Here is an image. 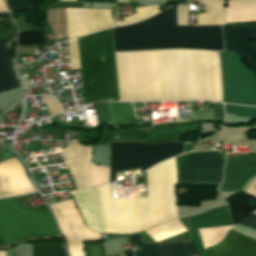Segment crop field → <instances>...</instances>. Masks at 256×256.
I'll use <instances>...</instances> for the list:
<instances>
[{
    "instance_id": "crop-field-15",
    "label": "crop field",
    "mask_w": 256,
    "mask_h": 256,
    "mask_svg": "<svg viewBox=\"0 0 256 256\" xmlns=\"http://www.w3.org/2000/svg\"><path fill=\"white\" fill-rule=\"evenodd\" d=\"M91 188L109 183L110 168L93 165L90 162L91 147L73 143Z\"/></svg>"
},
{
    "instance_id": "crop-field-3",
    "label": "crop field",
    "mask_w": 256,
    "mask_h": 256,
    "mask_svg": "<svg viewBox=\"0 0 256 256\" xmlns=\"http://www.w3.org/2000/svg\"><path fill=\"white\" fill-rule=\"evenodd\" d=\"M115 51L192 48L223 50L221 26H176L175 7L138 24L113 28Z\"/></svg>"
},
{
    "instance_id": "crop-field-19",
    "label": "crop field",
    "mask_w": 256,
    "mask_h": 256,
    "mask_svg": "<svg viewBox=\"0 0 256 256\" xmlns=\"http://www.w3.org/2000/svg\"><path fill=\"white\" fill-rule=\"evenodd\" d=\"M67 146L68 148L62 150L77 190L90 188L72 144Z\"/></svg>"
},
{
    "instance_id": "crop-field-35",
    "label": "crop field",
    "mask_w": 256,
    "mask_h": 256,
    "mask_svg": "<svg viewBox=\"0 0 256 256\" xmlns=\"http://www.w3.org/2000/svg\"><path fill=\"white\" fill-rule=\"evenodd\" d=\"M187 13H188L187 7H182V6L176 7L177 25H188Z\"/></svg>"
},
{
    "instance_id": "crop-field-10",
    "label": "crop field",
    "mask_w": 256,
    "mask_h": 256,
    "mask_svg": "<svg viewBox=\"0 0 256 256\" xmlns=\"http://www.w3.org/2000/svg\"><path fill=\"white\" fill-rule=\"evenodd\" d=\"M36 192L16 157L0 163V198Z\"/></svg>"
},
{
    "instance_id": "crop-field-44",
    "label": "crop field",
    "mask_w": 256,
    "mask_h": 256,
    "mask_svg": "<svg viewBox=\"0 0 256 256\" xmlns=\"http://www.w3.org/2000/svg\"><path fill=\"white\" fill-rule=\"evenodd\" d=\"M124 253H125L126 256H133L130 250L124 251Z\"/></svg>"
},
{
    "instance_id": "crop-field-1",
    "label": "crop field",
    "mask_w": 256,
    "mask_h": 256,
    "mask_svg": "<svg viewBox=\"0 0 256 256\" xmlns=\"http://www.w3.org/2000/svg\"><path fill=\"white\" fill-rule=\"evenodd\" d=\"M120 101H216L212 51L115 53Z\"/></svg>"
},
{
    "instance_id": "crop-field-21",
    "label": "crop field",
    "mask_w": 256,
    "mask_h": 256,
    "mask_svg": "<svg viewBox=\"0 0 256 256\" xmlns=\"http://www.w3.org/2000/svg\"><path fill=\"white\" fill-rule=\"evenodd\" d=\"M8 51L6 42H0V93L7 89L17 87L8 62ZM19 86V85H18Z\"/></svg>"
},
{
    "instance_id": "crop-field-36",
    "label": "crop field",
    "mask_w": 256,
    "mask_h": 256,
    "mask_svg": "<svg viewBox=\"0 0 256 256\" xmlns=\"http://www.w3.org/2000/svg\"><path fill=\"white\" fill-rule=\"evenodd\" d=\"M42 99H43L50 115L60 111L58 103L53 98L42 97Z\"/></svg>"
},
{
    "instance_id": "crop-field-8",
    "label": "crop field",
    "mask_w": 256,
    "mask_h": 256,
    "mask_svg": "<svg viewBox=\"0 0 256 256\" xmlns=\"http://www.w3.org/2000/svg\"><path fill=\"white\" fill-rule=\"evenodd\" d=\"M49 206L66 240L70 256H85L82 242L100 240L99 234L83 225L72 199Z\"/></svg>"
},
{
    "instance_id": "crop-field-43",
    "label": "crop field",
    "mask_w": 256,
    "mask_h": 256,
    "mask_svg": "<svg viewBox=\"0 0 256 256\" xmlns=\"http://www.w3.org/2000/svg\"><path fill=\"white\" fill-rule=\"evenodd\" d=\"M2 18H10L8 13H0V19Z\"/></svg>"
},
{
    "instance_id": "crop-field-17",
    "label": "crop field",
    "mask_w": 256,
    "mask_h": 256,
    "mask_svg": "<svg viewBox=\"0 0 256 256\" xmlns=\"http://www.w3.org/2000/svg\"><path fill=\"white\" fill-rule=\"evenodd\" d=\"M204 3L206 14L196 15L198 25L225 24L226 8L224 0H198Z\"/></svg>"
},
{
    "instance_id": "crop-field-9",
    "label": "crop field",
    "mask_w": 256,
    "mask_h": 256,
    "mask_svg": "<svg viewBox=\"0 0 256 256\" xmlns=\"http://www.w3.org/2000/svg\"><path fill=\"white\" fill-rule=\"evenodd\" d=\"M223 158L216 151L192 153L180 183H220Z\"/></svg>"
},
{
    "instance_id": "crop-field-45",
    "label": "crop field",
    "mask_w": 256,
    "mask_h": 256,
    "mask_svg": "<svg viewBox=\"0 0 256 256\" xmlns=\"http://www.w3.org/2000/svg\"><path fill=\"white\" fill-rule=\"evenodd\" d=\"M0 256H5L4 251H0Z\"/></svg>"
},
{
    "instance_id": "crop-field-22",
    "label": "crop field",
    "mask_w": 256,
    "mask_h": 256,
    "mask_svg": "<svg viewBox=\"0 0 256 256\" xmlns=\"http://www.w3.org/2000/svg\"><path fill=\"white\" fill-rule=\"evenodd\" d=\"M68 39L85 35L84 9H66Z\"/></svg>"
},
{
    "instance_id": "crop-field-20",
    "label": "crop field",
    "mask_w": 256,
    "mask_h": 256,
    "mask_svg": "<svg viewBox=\"0 0 256 256\" xmlns=\"http://www.w3.org/2000/svg\"><path fill=\"white\" fill-rule=\"evenodd\" d=\"M87 34L113 24L110 10L85 9Z\"/></svg>"
},
{
    "instance_id": "crop-field-18",
    "label": "crop field",
    "mask_w": 256,
    "mask_h": 256,
    "mask_svg": "<svg viewBox=\"0 0 256 256\" xmlns=\"http://www.w3.org/2000/svg\"><path fill=\"white\" fill-rule=\"evenodd\" d=\"M190 229L230 225L225 207L209 211L199 216L189 217Z\"/></svg>"
},
{
    "instance_id": "crop-field-42",
    "label": "crop field",
    "mask_w": 256,
    "mask_h": 256,
    "mask_svg": "<svg viewBox=\"0 0 256 256\" xmlns=\"http://www.w3.org/2000/svg\"><path fill=\"white\" fill-rule=\"evenodd\" d=\"M175 245H176V247H177L179 256H186V255H185L184 248H183V244H182V243H179V244H175Z\"/></svg>"
},
{
    "instance_id": "crop-field-14",
    "label": "crop field",
    "mask_w": 256,
    "mask_h": 256,
    "mask_svg": "<svg viewBox=\"0 0 256 256\" xmlns=\"http://www.w3.org/2000/svg\"><path fill=\"white\" fill-rule=\"evenodd\" d=\"M201 256H256V241L230 230L221 243Z\"/></svg>"
},
{
    "instance_id": "crop-field-30",
    "label": "crop field",
    "mask_w": 256,
    "mask_h": 256,
    "mask_svg": "<svg viewBox=\"0 0 256 256\" xmlns=\"http://www.w3.org/2000/svg\"><path fill=\"white\" fill-rule=\"evenodd\" d=\"M32 0H7L10 10L22 11L30 8ZM76 1H100V2H115V0H76Z\"/></svg>"
},
{
    "instance_id": "crop-field-29",
    "label": "crop field",
    "mask_w": 256,
    "mask_h": 256,
    "mask_svg": "<svg viewBox=\"0 0 256 256\" xmlns=\"http://www.w3.org/2000/svg\"><path fill=\"white\" fill-rule=\"evenodd\" d=\"M225 110L226 113L235 114L237 116L256 118V108L253 107L225 105Z\"/></svg>"
},
{
    "instance_id": "crop-field-31",
    "label": "crop field",
    "mask_w": 256,
    "mask_h": 256,
    "mask_svg": "<svg viewBox=\"0 0 256 256\" xmlns=\"http://www.w3.org/2000/svg\"><path fill=\"white\" fill-rule=\"evenodd\" d=\"M72 70L80 68L77 39L68 41Z\"/></svg>"
},
{
    "instance_id": "crop-field-11",
    "label": "crop field",
    "mask_w": 256,
    "mask_h": 256,
    "mask_svg": "<svg viewBox=\"0 0 256 256\" xmlns=\"http://www.w3.org/2000/svg\"><path fill=\"white\" fill-rule=\"evenodd\" d=\"M225 50H233L256 70V45L248 38H256V25L223 26Z\"/></svg>"
},
{
    "instance_id": "crop-field-2",
    "label": "crop field",
    "mask_w": 256,
    "mask_h": 256,
    "mask_svg": "<svg viewBox=\"0 0 256 256\" xmlns=\"http://www.w3.org/2000/svg\"><path fill=\"white\" fill-rule=\"evenodd\" d=\"M176 180L173 158L147 171L148 198L112 199L109 184L100 187L107 232L135 233L176 218Z\"/></svg>"
},
{
    "instance_id": "crop-field-13",
    "label": "crop field",
    "mask_w": 256,
    "mask_h": 256,
    "mask_svg": "<svg viewBox=\"0 0 256 256\" xmlns=\"http://www.w3.org/2000/svg\"><path fill=\"white\" fill-rule=\"evenodd\" d=\"M71 193L85 224L93 230L106 233L98 188Z\"/></svg>"
},
{
    "instance_id": "crop-field-39",
    "label": "crop field",
    "mask_w": 256,
    "mask_h": 256,
    "mask_svg": "<svg viewBox=\"0 0 256 256\" xmlns=\"http://www.w3.org/2000/svg\"><path fill=\"white\" fill-rule=\"evenodd\" d=\"M212 105H213L214 119L223 118L222 111H221V104H212Z\"/></svg>"
},
{
    "instance_id": "crop-field-6",
    "label": "crop field",
    "mask_w": 256,
    "mask_h": 256,
    "mask_svg": "<svg viewBox=\"0 0 256 256\" xmlns=\"http://www.w3.org/2000/svg\"><path fill=\"white\" fill-rule=\"evenodd\" d=\"M183 143H112L110 182L114 172L141 167V170L181 154Z\"/></svg>"
},
{
    "instance_id": "crop-field-26",
    "label": "crop field",
    "mask_w": 256,
    "mask_h": 256,
    "mask_svg": "<svg viewBox=\"0 0 256 256\" xmlns=\"http://www.w3.org/2000/svg\"><path fill=\"white\" fill-rule=\"evenodd\" d=\"M33 256H66L62 244L39 243L32 245Z\"/></svg>"
},
{
    "instance_id": "crop-field-16",
    "label": "crop field",
    "mask_w": 256,
    "mask_h": 256,
    "mask_svg": "<svg viewBox=\"0 0 256 256\" xmlns=\"http://www.w3.org/2000/svg\"><path fill=\"white\" fill-rule=\"evenodd\" d=\"M256 21V0H228L226 22Z\"/></svg>"
},
{
    "instance_id": "crop-field-23",
    "label": "crop field",
    "mask_w": 256,
    "mask_h": 256,
    "mask_svg": "<svg viewBox=\"0 0 256 256\" xmlns=\"http://www.w3.org/2000/svg\"><path fill=\"white\" fill-rule=\"evenodd\" d=\"M156 242L185 231L177 219L145 230Z\"/></svg>"
},
{
    "instance_id": "crop-field-38",
    "label": "crop field",
    "mask_w": 256,
    "mask_h": 256,
    "mask_svg": "<svg viewBox=\"0 0 256 256\" xmlns=\"http://www.w3.org/2000/svg\"><path fill=\"white\" fill-rule=\"evenodd\" d=\"M240 224H244L256 229V215H253V214L249 215L248 217L243 219L240 222Z\"/></svg>"
},
{
    "instance_id": "crop-field-40",
    "label": "crop field",
    "mask_w": 256,
    "mask_h": 256,
    "mask_svg": "<svg viewBox=\"0 0 256 256\" xmlns=\"http://www.w3.org/2000/svg\"><path fill=\"white\" fill-rule=\"evenodd\" d=\"M246 192L256 195V177L254 178L252 183L249 185Z\"/></svg>"
},
{
    "instance_id": "crop-field-28",
    "label": "crop field",
    "mask_w": 256,
    "mask_h": 256,
    "mask_svg": "<svg viewBox=\"0 0 256 256\" xmlns=\"http://www.w3.org/2000/svg\"><path fill=\"white\" fill-rule=\"evenodd\" d=\"M159 8L160 6L136 8L137 14L129 17H124V22H116L115 26L126 25L148 18L160 12Z\"/></svg>"
},
{
    "instance_id": "crop-field-27",
    "label": "crop field",
    "mask_w": 256,
    "mask_h": 256,
    "mask_svg": "<svg viewBox=\"0 0 256 256\" xmlns=\"http://www.w3.org/2000/svg\"><path fill=\"white\" fill-rule=\"evenodd\" d=\"M178 242H183L187 256H194L197 254L192 240ZM178 242L157 243L160 256H178L174 246V243Z\"/></svg>"
},
{
    "instance_id": "crop-field-7",
    "label": "crop field",
    "mask_w": 256,
    "mask_h": 256,
    "mask_svg": "<svg viewBox=\"0 0 256 256\" xmlns=\"http://www.w3.org/2000/svg\"><path fill=\"white\" fill-rule=\"evenodd\" d=\"M224 102L256 106V76L233 52H220Z\"/></svg>"
},
{
    "instance_id": "crop-field-12",
    "label": "crop field",
    "mask_w": 256,
    "mask_h": 256,
    "mask_svg": "<svg viewBox=\"0 0 256 256\" xmlns=\"http://www.w3.org/2000/svg\"><path fill=\"white\" fill-rule=\"evenodd\" d=\"M256 174V155L228 157L224 168V182L220 191L241 190L247 180Z\"/></svg>"
},
{
    "instance_id": "crop-field-24",
    "label": "crop field",
    "mask_w": 256,
    "mask_h": 256,
    "mask_svg": "<svg viewBox=\"0 0 256 256\" xmlns=\"http://www.w3.org/2000/svg\"><path fill=\"white\" fill-rule=\"evenodd\" d=\"M115 125L131 124L130 118H135L130 103H108Z\"/></svg>"
},
{
    "instance_id": "crop-field-33",
    "label": "crop field",
    "mask_w": 256,
    "mask_h": 256,
    "mask_svg": "<svg viewBox=\"0 0 256 256\" xmlns=\"http://www.w3.org/2000/svg\"><path fill=\"white\" fill-rule=\"evenodd\" d=\"M96 108L100 118V122L112 121L107 103L98 104L96 105Z\"/></svg>"
},
{
    "instance_id": "crop-field-37",
    "label": "crop field",
    "mask_w": 256,
    "mask_h": 256,
    "mask_svg": "<svg viewBox=\"0 0 256 256\" xmlns=\"http://www.w3.org/2000/svg\"><path fill=\"white\" fill-rule=\"evenodd\" d=\"M87 256H103L100 243L85 245Z\"/></svg>"
},
{
    "instance_id": "crop-field-41",
    "label": "crop field",
    "mask_w": 256,
    "mask_h": 256,
    "mask_svg": "<svg viewBox=\"0 0 256 256\" xmlns=\"http://www.w3.org/2000/svg\"><path fill=\"white\" fill-rule=\"evenodd\" d=\"M129 236H130L132 244L142 243L139 234H131Z\"/></svg>"
},
{
    "instance_id": "crop-field-32",
    "label": "crop field",
    "mask_w": 256,
    "mask_h": 256,
    "mask_svg": "<svg viewBox=\"0 0 256 256\" xmlns=\"http://www.w3.org/2000/svg\"><path fill=\"white\" fill-rule=\"evenodd\" d=\"M217 101L222 102L218 52L213 51Z\"/></svg>"
},
{
    "instance_id": "crop-field-25",
    "label": "crop field",
    "mask_w": 256,
    "mask_h": 256,
    "mask_svg": "<svg viewBox=\"0 0 256 256\" xmlns=\"http://www.w3.org/2000/svg\"><path fill=\"white\" fill-rule=\"evenodd\" d=\"M232 226L198 230L204 249L218 243Z\"/></svg>"
},
{
    "instance_id": "crop-field-5",
    "label": "crop field",
    "mask_w": 256,
    "mask_h": 256,
    "mask_svg": "<svg viewBox=\"0 0 256 256\" xmlns=\"http://www.w3.org/2000/svg\"><path fill=\"white\" fill-rule=\"evenodd\" d=\"M27 197L0 200V248L30 238L58 236L50 211L26 209L18 203Z\"/></svg>"
},
{
    "instance_id": "crop-field-4",
    "label": "crop field",
    "mask_w": 256,
    "mask_h": 256,
    "mask_svg": "<svg viewBox=\"0 0 256 256\" xmlns=\"http://www.w3.org/2000/svg\"><path fill=\"white\" fill-rule=\"evenodd\" d=\"M78 43L85 103L118 100L111 30L79 38Z\"/></svg>"
},
{
    "instance_id": "crop-field-46",
    "label": "crop field",
    "mask_w": 256,
    "mask_h": 256,
    "mask_svg": "<svg viewBox=\"0 0 256 256\" xmlns=\"http://www.w3.org/2000/svg\"><path fill=\"white\" fill-rule=\"evenodd\" d=\"M256 127V126H255Z\"/></svg>"
},
{
    "instance_id": "crop-field-34",
    "label": "crop field",
    "mask_w": 256,
    "mask_h": 256,
    "mask_svg": "<svg viewBox=\"0 0 256 256\" xmlns=\"http://www.w3.org/2000/svg\"><path fill=\"white\" fill-rule=\"evenodd\" d=\"M137 256H159L156 243L147 244L143 251L135 252Z\"/></svg>"
}]
</instances>
